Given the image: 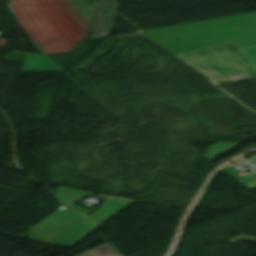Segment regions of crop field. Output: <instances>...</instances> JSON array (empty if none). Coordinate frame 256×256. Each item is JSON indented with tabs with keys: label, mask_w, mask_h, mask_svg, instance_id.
Here are the masks:
<instances>
[{
	"label": "crop field",
	"mask_w": 256,
	"mask_h": 256,
	"mask_svg": "<svg viewBox=\"0 0 256 256\" xmlns=\"http://www.w3.org/2000/svg\"><path fill=\"white\" fill-rule=\"evenodd\" d=\"M228 165H229V164H228ZM229 167H231V168H233V169H235V170H237V171L241 172V170H240V169H238V168H236V167H234V166L229 165ZM221 171H223V172H225V173H227V174H229V175L233 176V174H231V173H229V172H227V171H225V170H223V169H221Z\"/></svg>",
	"instance_id": "7"
},
{
	"label": "crop field",
	"mask_w": 256,
	"mask_h": 256,
	"mask_svg": "<svg viewBox=\"0 0 256 256\" xmlns=\"http://www.w3.org/2000/svg\"><path fill=\"white\" fill-rule=\"evenodd\" d=\"M239 183L244 185L249 190L256 188V174H248L235 178Z\"/></svg>",
	"instance_id": "5"
},
{
	"label": "crop field",
	"mask_w": 256,
	"mask_h": 256,
	"mask_svg": "<svg viewBox=\"0 0 256 256\" xmlns=\"http://www.w3.org/2000/svg\"><path fill=\"white\" fill-rule=\"evenodd\" d=\"M96 1L99 2V10L93 39L106 37L112 31L114 17L118 6L115 0Z\"/></svg>",
	"instance_id": "2"
},
{
	"label": "crop field",
	"mask_w": 256,
	"mask_h": 256,
	"mask_svg": "<svg viewBox=\"0 0 256 256\" xmlns=\"http://www.w3.org/2000/svg\"><path fill=\"white\" fill-rule=\"evenodd\" d=\"M253 72L256 74V46L238 48Z\"/></svg>",
	"instance_id": "4"
},
{
	"label": "crop field",
	"mask_w": 256,
	"mask_h": 256,
	"mask_svg": "<svg viewBox=\"0 0 256 256\" xmlns=\"http://www.w3.org/2000/svg\"><path fill=\"white\" fill-rule=\"evenodd\" d=\"M60 71L44 56L27 54L25 65L21 72Z\"/></svg>",
	"instance_id": "3"
},
{
	"label": "crop field",
	"mask_w": 256,
	"mask_h": 256,
	"mask_svg": "<svg viewBox=\"0 0 256 256\" xmlns=\"http://www.w3.org/2000/svg\"><path fill=\"white\" fill-rule=\"evenodd\" d=\"M177 56L216 84L256 78L233 42Z\"/></svg>",
	"instance_id": "1"
},
{
	"label": "crop field",
	"mask_w": 256,
	"mask_h": 256,
	"mask_svg": "<svg viewBox=\"0 0 256 256\" xmlns=\"http://www.w3.org/2000/svg\"><path fill=\"white\" fill-rule=\"evenodd\" d=\"M245 161L248 162V163H251V164L255 165V166L252 167V168L256 170V157H255V156H253V157H251V158H249V159H247V160H245ZM255 172H256V171H255Z\"/></svg>",
	"instance_id": "6"
}]
</instances>
